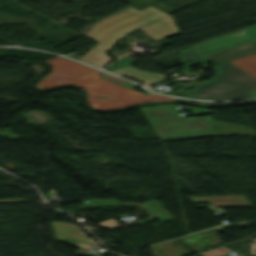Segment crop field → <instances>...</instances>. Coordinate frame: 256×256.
<instances>
[{"mask_svg":"<svg viewBox=\"0 0 256 256\" xmlns=\"http://www.w3.org/2000/svg\"><path fill=\"white\" fill-rule=\"evenodd\" d=\"M141 20L146 21L141 22ZM136 28H140L154 41L179 33L170 15L151 5L140 11L129 6L95 22L91 26L90 30L84 35L99 43L87 51L79 60L101 68L112 60L104 53L110 49L114 42Z\"/></svg>","mask_w":256,"mask_h":256,"instance_id":"obj_1","label":"crop field"},{"mask_svg":"<svg viewBox=\"0 0 256 256\" xmlns=\"http://www.w3.org/2000/svg\"><path fill=\"white\" fill-rule=\"evenodd\" d=\"M254 53H256V41L205 56L216 63L224 64L214 67L217 73L212 80L194 87L191 90L193 94L178 90L177 95L200 100L254 98L249 92L256 90V79L228 62Z\"/></svg>","mask_w":256,"mask_h":256,"instance_id":"obj_2","label":"crop field"},{"mask_svg":"<svg viewBox=\"0 0 256 256\" xmlns=\"http://www.w3.org/2000/svg\"><path fill=\"white\" fill-rule=\"evenodd\" d=\"M64 83L78 85L87 90L90 105L98 109L119 108L146 101L176 100L172 97L154 94L145 96L134 91L139 87L138 85L97 69L61 84Z\"/></svg>","mask_w":256,"mask_h":256,"instance_id":"obj_3","label":"crop field"},{"mask_svg":"<svg viewBox=\"0 0 256 256\" xmlns=\"http://www.w3.org/2000/svg\"><path fill=\"white\" fill-rule=\"evenodd\" d=\"M140 109L163 141L212 136L211 116L184 118L174 104Z\"/></svg>","mask_w":256,"mask_h":256,"instance_id":"obj_4","label":"crop field"},{"mask_svg":"<svg viewBox=\"0 0 256 256\" xmlns=\"http://www.w3.org/2000/svg\"><path fill=\"white\" fill-rule=\"evenodd\" d=\"M52 66L53 71L45 76L38 84L37 89H44L85 73L94 68L61 58L56 57L47 60ZM48 63V64H49Z\"/></svg>","mask_w":256,"mask_h":256,"instance_id":"obj_5","label":"crop field"},{"mask_svg":"<svg viewBox=\"0 0 256 256\" xmlns=\"http://www.w3.org/2000/svg\"><path fill=\"white\" fill-rule=\"evenodd\" d=\"M252 39H256V26L192 46L191 50L204 56L214 51L227 48L239 43H243Z\"/></svg>","mask_w":256,"mask_h":256,"instance_id":"obj_6","label":"crop field"},{"mask_svg":"<svg viewBox=\"0 0 256 256\" xmlns=\"http://www.w3.org/2000/svg\"><path fill=\"white\" fill-rule=\"evenodd\" d=\"M191 202L209 201L214 207L252 206L243 195L188 197Z\"/></svg>","mask_w":256,"mask_h":256,"instance_id":"obj_7","label":"crop field"},{"mask_svg":"<svg viewBox=\"0 0 256 256\" xmlns=\"http://www.w3.org/2000/svg\"><path fill=\"white\" fill-rule=\"evenodd\" d=\"M112 72L144 85H148L150 83H153L155 81L161 80L166 77V75L162 72L160 73L142 72L132 66L120 68Z\"/></svg>","mask_w":256,"mask_h":256,"instance_id":"obj_8","label":"crop field"},{"mask_svg":"<svg viewBox=\"0 0 256 256\" xmlns=\"http://www.w3.org/2000/svg\"><path fill=\"white\" fill-rule=\"evenodd\" d=\"M230 63L256 78V54L231 61Z\"/></svg>","mask_w":256,"mask_h":256,"instance_id":"obj_9","label":"crop field"},{"mask_svg":"<svg viewBox=\"0 0 256 256\" xmlns=\"http://www.w3.org/2000/svg\"><path fill=\"white\" fill-rule=\"evenodd\" d=\"M144 209L154 212L161 221L172 219L173 217L163 208V206L156 200L149 201L137 205Z\"/></svg>","mask_w":256,"mask_h":256,"instance_id":"obj_10","label":"crop field"},{"mask_svg":"<svg viewBox=\"0 0 256 256\" xmlns=\"http://www.w3.org/2000/svg\"><path fill=\"white\" fill-rule=\"evenodd\" d=\"M85 205H136V203H121L117 200H85Z\"/></svg>","mask_w":256,"mask_h":256,"instance_id":"obj_11","label":"crop field"},{"mask_svg":"<svg viewBox=\"0 0 256 256\" xmlns=\"http://www.w3.org/2000/svg\"><path fill=\"white\" fill-rule=\"evenodd\" d=\"M180 56H181V62H185V61H188L191 59L201 57L200 55L190 51L189 49H185V50L181 51Z\"/></svg>","mask_w":256,"mask_h":256,"instance_id":"obj_12","label":"crop field"},{"mask_svg":"<svg viewBox=\"0 0 256 256\" xmlns=\"http://www.w3.org/2000/svg\"><path fill=\"white\" fill-rule=\"evenodd\" d=\"M141 210H142V211L148 216V218H150V219L141 221V222L136 223V224H133V225L145 224V223H149V222H153V221L157 220V218H156L152 213L147 212V211H145V210H143V209H141ZM118 227H122V226L116 225V226H113V227H110V228H107V229H108L109 231H111V230L116 229V228H118Z\"/></svg>","mask_w":256,"mask_h":256,"instance_id":"obj_13","label":"crop field"},{"mask_svg":"<svg viewBox=\"0 0 256 256\" xmlns=\"http://www.w3.org/2000/svg\"><path fill=\"white\" fill-rule=\"evenodd\" d=\"M203 60H204V58H201V59L195 60V61H193V62L184 64L183 69L189 71V70H191V69H189V67H191V66H193V65H196V64L200 63V62L203 61Z\"/></svg>","mask_w":256,"mask_h":256,"instance_id":"obj_14","label":"crop field"},{"mask_svg":"<svg viewBox=\"0 0 256 256\" xmlns=\"http://www.w3.org/2000/svg\"><path fill=\"white\" fill-rule=\"evenodd\" d=\"M115 218H117V217H115ZM115 218H111V219H109V220H106V221H104V222H102V223H100V224H98V225H99V226L103 225L104 227L112 226V225L115 224V222H114V220H113V219H115Z\"/></svg>","mask_w":256,"mask_h":256,"instance_id":"obj_15","label":"crop field"},{"mask_svg":"<svg viewBox=\"0 0 256 256\" xmlns=\"http://www.w3.org/2000/svg\"><path fill=\"white\" fill-rule=\"evenodd\" d=\"M211 250L200 252V254H202L203 256H220L219 254H217Z\"/></svg>","mask_w":256,"mask_h":256,"instance_id":"obj_16","label":"crop field"},{"mask_svg":"<svg viewBox=\"0 0 256 256\" xmlns=\"http://www.w3.org/2000/svg\"><path fill=\"white\" fill-rule=\"evenodd\" d=\"M183 101H189V100H184ZM189 102H193V103H202V102H195V101H189ZM203 104H211V103H203Z\"/></svg>","mask_w":256,"mask_h":256,"instance_id":"obj_17","label":"crop field"},{"mask_svg":"<svg viewBox=\"0 0 256 256\" xmlns=\"http://www.w3.org/2000/svg\"><path fill=\"white\" fill-rule=\"evenodd\" d=\"M84 208H100V207H84Z\"/></svg>","mask_w":256,"mask_h":256,"instance_id":"obj_18","label":"crop field"}]
</instances>
